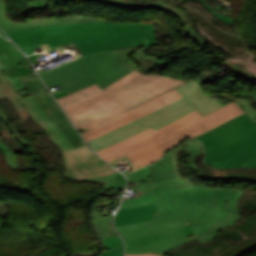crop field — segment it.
Here are the masks:
<instances>
[{"label":"crop field","mask_w":256,"mask_h":256,"mask_svg":"<svg viewBox=\"0 0 256 256\" xmlns=\"http://www.w3.org/2000/svg\"><path fill=\"white\" fill-rule=\"evenodd\" d=\"M35 57H36V55H32V56L28 57L29 60H30L33 64L38 63Z\"/></svg>","instance_id":"34"},{"label":"crop field","mask_w":256,"mask_h":256,"mask_svg":"<svg viewBox=\"0 0 256 256\" xmlns=\"http://www.w3.org/2000/svg\"><path fill=\"white\" fill-rule=\"evenodd\" d=\"M167 1H174V2H184L187 0H153L148 3V6L145 7H152V8H157V9H162L165 11H168L170 13L175 14L184 24L185 31L187 35L192 39V41L197 42L198 44L201 45V47H205V43H207L202 37H200L195 30L193 29L192 26H194V23L191 19L190 16L186 15L179 9L175 8L171 4H169ZM201 4H203L213 15L216 16L219 20L222 22L229 24V25H234V22L232 18L224 16L220 14L219 12L215 11L214 9L211 8V6L206 3L204 0H198Z\"/></svg>","instance_id":"15"},{"label":"crop field","mask_w":256,"mask_h":256,"mask_svg":"<svg viewBox=\"0 0 256 256\" xmlns=\"http://www.w3.org/2000/svg\"><path fill=\"white\" fill-rule=\"evenodd\" d=\"M102 245L103 247L111 248V250L103 252L101 256H122L123 242L118 235L102 240Z\"/></svg>","instance_id":"22"},{"label":"crop field","mask_w":256,"mask_h":256,"mask_svg":"<svg viewBox=\"0 0 256 256\" xmlns=\"http://www.w3.org/2000/svg\"><path fill=\"white\" fill-rule=\"evenodd\" d=\"M153 133H155L154 130L149 128V129H147V130H145L143 132H140V133H138V134H136V135H134L132 137H129V138L123 140V141H120V142H118V143H116V144H114V145H112L110 147H107V148H105V149H103V150H101V151H99L97 153L103 157V156H105V155H107V154H109L111 152H114L116 150H119V149H122L124 147H127V146H129V145H131V144H133V143H135V142H137V141H139V140H141V139H143V138L153 134Z\"/></svg>","instance_id":"20"},{"label":"crop field","mask_w":256,"mask_h":256,"mask_svg":"<svg viewBox=\"0 0 256 256\" xmlns=\"http://www.w3.org/2000/svg\"><path fill=\"white\" fill-rule=\"evenodd\" d=\"M154 202H155L154 195H138V198L123 200V204L121 203L122 204L121 208H127V207L154 203Z\"/></svg>","instance_id":"23"},{"label":"crop field","mask_w":256,"mask_h":256,"mask_svg":"<svg viewBox=\"0 0 256 256\" xmlns=\"http://www.w3.org/2000/svg\"><path fill=\"white\" fill-rule=\"evenodd\" d=\"M244 113L238 105L233 101L222 108L218 109L217 111L202 117L196 122L201 125L206 131L216 127L217 125Z\"/></svg>","instance_id":"18"},{"label":"crop field","mask_w":256,"mask_h":256,"mask_svg":"<svg viewBox=\"0 0 256 256\" xmlns=\"http://www.w3.org/2000/svg\"><path fill=\"white\" fill-rule=\"evenodd\" d=\"M188 47H190L189 45L186 47V48H188ZM143 48H150V47H143ZM143 48H141L140 50H138V51H140V54H138V56L137 57H135V58H133L140 66H143V65H146L148 62H153V64H152V66H149V68L150 67H153L154 65H156L157 63V60L156 59H158V58H161V57H163V56H166V55H168V54H170V53H168V54H166V55H160V56H158V57H155V58H146V57H144V56H140L142 53H143V51H142V49ZM185 49V48H184ZM182 50V49H181ZM179 51V50H178ZM174 52H176V51H174ZM172 53V52H171ZM135 54V53H134ZM131 57H133L132 55H131ZM140 68V67H139ZM139 68H137L136 70H138ZM139 71V70H138ZM140 72V71H139ZM162 72V71H161ZM161 72L159 73V75L161 74ZM140 73H142V74H145V73H143V72H140ZM151 74H155V73H151Z\"/></svg>","instance_id":"26"},{"label":"crop field","mask_w":256,"mask_h":256,"mask_svg":"<svg viewBox=\"0 0 256 256\" xmlns=\"http://www.w3.org/2000/svg\"><path fill=\"white\" fill-rule=\"evenodd\" d=\"M65 178L77 180L71 173H69L67 170L64 171ZM79 181V180H77ZM83 181H101L105 183L104 189L107 188H117V187H123L126 186V180L123 175L120 173L113 174L110 176H106L103 178H96V179H89V180H83Z\"/></svg>","instance_id":"21"},{"label":"crop field","mask_w":256,"mask_h":256,"mask_svg":"<svg viewBox=\"0 0 256 256\" xmlns=\"http://www.w3.org/2000/svg\"><path fill=\"white\" fill-rule=\"evenodd\" d=\"M129 179V183L130 182H143V181H149L150 176H149V165L139 169L135 172H132L128 175H126Z\"/></svg>","instance_id":"25"},{"label":"crop field","mask_w":256,"mask_h":256,"mask_svg":"<svg viewBox=\"0 0 256 256\" xmlns=\"http://www.w3.org/2000/svg\"><path fill=\"white\" fill-rule=\"evenodd\" d=\"M183 83L186 82L142 75L135 70L103 90L95 84L60 98L58 102L77 127L120 105L129 109Z\"/></svg>","instance_id":"2"},{"label":"crop field","mask_w":256,"mask_h":256,"mask_svg":"<svg viewBox=\"0 0 256 256\" xmlns=\"http://www.w3.org/2000/svg\"><path fill=\"white\" fill-rule=\"evenodd\" d=\"M164 105H166V103L162 101L159 97H157L140 106H137L131 110H128L97 127L87 130L82 135L86 139V141L95 139L117 127H120L124 124L134 121Z\"/></svg>","instance_id":"14"},{"label":"crop field","mask_w":256,"mask_h":256,"mask_svg":"<svg viewBox=\"0 0 256 256\" xmlns=\"http://www.w3.org/2000/svg\"><path fill=\"white\" fill-rule=\"evenodd\" d=\"M157 211L156 203L118 210L115 225H125L153 220V213Z\"/></svg>","instance_id":"17"},{"label":"crop field","mask_w":256,"mask_h":256,"mask_svg":"<svg viewBox=\"0 0 256 256\" xmlns=\"http://www.w3.org/2000/svg\"><path fill=\"white\" fill-rule=\"evenodd\" d=\"M8 98L14 108H26L35 123L39 125L60 148H73L63 132L47 117L32 94L20 83L18 78L0 83V99Z\"/></svg>","instance_id":"9"},{"label":"crop field","mask_w":256,"mask_h":256,"mask_svg":"<svg viewBox=\"0 0 256 256\" xmlns=\"http://www.w3.org/2000/svg\"><path fill=\"white\" fill-rule=\"evenodd\" d=\"M0 152L4 155L5 159L7 160V164L10 168L16 170L18 165L16 155L10 151L3 142L0 143Z\"/></svg>","instance_id":"27"},{"label":"crop field","mask_w":256,"mask_h":256,"mask_svg":"<svg viewBox=\"0 0 256 256\" xmlns=\"http://www.w3.org/2000/svg\"><path fill=\"white\" fill-rule=\"evenodd\" d=\"M159 97L161 99H163L167 104L182 98V96L175 89H173Z\"/></svg>","instance_id":"32"},{"label":"crop field","mask_w":256,"mask_h":256,"mask_svg":"<svg viewBox=\"0 0 256 256\" xmlns=\"http://www.w3.org/2000/svg\"><path fill=\"white\" fill-rule=\"evenodd\" d=\"M143 30L144 23L95 22L19 29L6 34L19 46L42 39L88 34L143 36Z\"/></svg>","instance_id":"7"},{"label":"crop field","mask_w":256,"mask_h":256,"mask_svg":"<svg viewBox=\"0 0 256 256\" xmlns=\"http://www.w3.org/2000/svg\"><path fill=\"white\" fill-rule=\"evenodd\" d=\"M125 110H127V109L121 106V107H119V108H117V109H115V110H113V111H111V112H109V113L99 117V118H96V119H94V120H92L90 122H87V123L79 126V128H91L93 126H96V125H98V124H100V123H102V122H104V121H106V120L116 116L117 114H119V113H121V112H123Z\"/></svg>","instance_id":"24"},{"label":"crop field","mask_w":256,"mask_h":256,"mask_svg":"<svg viewBox=\"0 0 256 256\" xmlns=\"http://www.w3.org/2000/svg\"><path fill=\"white\" fill-rule=\"evenodd\" d=\"M194 235L188 225L177 228L163 236L149 235L124 240L126 254L149 253L159 251L181 239Z\"/></svg>","instance_id":"12"},{"label":"crop field","mask_w":256,"mask_h":256,"mask_svg":"<svg viewBox=\"0 0 256 256\" xmlns=\"http://www.w3.org/2000/svg\"><path fill=\"white\" fill-rule=\"evenodd\" d=\"M176 90L184 98L88 142L90 147L97 152L149 127L157 130L195 109L204 116L224 105L217 99L205 94L200 81L197 80L190 81L176 88Z\"/></svg>","instance_id":"4"},{"label":"crop field","mask_w":256,"mask_h":256,"mask_svg":"<svg viewBox=\"0 0 256 256\" xmlns=\"http://www.w3.org/2000/svg\"><path fill=\"white\" fill-rule=\"evenodd\" d=\"M0 142H1V140H0Z\"/></svg>","instance_id":"37"},{"label":"crop field","mask_w":256,"mask_h":256,"mask_svg":"<svg viewBox=\"0 0 256 256\" xmlns=\"http://www.w3.org/2000/svg\"><path fill=\"white\" fill-rule=\"evenodd\" d=\"M19 80L30 91L48 117L64 132L74 147L85 145L84 141L70 123L64 112L46 91L37 74L20 77Z\"/></svg>","instance_id":"10"},{"label":"crop field","mask_w":256,"mask_h":256,"mask_svg":"<svg viewBox=\"0 0 256 256\" xmlns=\"http://www.w3.org/2000/svg\"><path fill=\"white\" fill-rule=\"evenodd\" d=\"M125 256H167V255L151 253V254L125 255Z\"/></svg>","instance_id":"33"},{"label":"crop field","mask_w":256,"mask_h":256,"mask_svg":"<svg viewBox=\"0 0 256 256\" xmlns=\"http://www.w3.org/2000/svg\"><path fill=\"white\" fill-rule=\"evenodd\" d=\"M200 117L202 115L195 110L178 121L156 131V134L130 147L114 152L104 157V159L110 162L127 154L138 168L145 166L164 156L166 152L183 139L205 132L194 121Z\"/></svg>","instance_id":"6"},{"label":"crop field","mask_w":256,"mask_h":256,"mask_svg":"<svg viewBox=\"0 0 256 256\" xmlns=\"http://www.w3.org/2000/svg\"><path fill=\"white\" fill-rule=\"evenodd\" d=\"M194 138L204 143L212 164L256 159V123L246 114Z\"/></svg>","instance_id":"5"},{"label":"crop field","mask_w":256,"mask_h":256,"mask_svg":"<svg viewBox=\"0 0 256 256\" xmlns=\"http://www.w3.org/2000/svg\"><path fill=\"white\" fill-rule=\"evenodd\" d=\"M62 154L66 168L79 180L117 173L87 146L65 150Z\"/></svg>","instance_id":"11"},{"label":"crop field","mask_w":256,"mask_h":256,"mask_svg":"<svg viewBox=\"0 0 256 256\" xmlns=\"http://www.w3.org/2000/svg\"><path fill=\"white\" fill-rule=\"evenodd\" d=\"M0 35H2L3 37H5V38H7L4 34H2L1 32H0ZM8 39V38H7Z\"/></svg>","instance_id":"36"},{"label":"crop field","mask_w":256,"mask_h":256,"mask_svg":"<svg viewBox=\"0 0 256 256\" xmlns=\"http://www.w3.org/2000/svg\"><path fill=\"white\" fill-rule=\"evenodd\" d=\"M47 42L52 49L63 44L74 42L81 51L86 54L116 50L130 46H152L157 44L153 23H145L144 37L116 36V35H88L77 37H64L38 41L20 46L22 51H27L26 55L33 54V48ZM82 53V54H83Z\"/></svg>","instance_id":"8"},{"label":"crop field","mask_w":256,"mask_h":256,"mask_svg":"<svg viewBox=\"0 0 256 256\" xmlns=\"http://www.w3.org/2000/svg\"><path fill=\"white\" fill-rule=\"evenodd\" d=\"M94 21H104L99 18H92L89 16H72L69 18L63 19H35L28 20L23 23H13L6 17V1L0 0V28L6 32L10 30H15L19 28H27V27H36V26H44V25H54V24H65V23H77V22H94Z\"/></svg>","instance_id":"16"},{"label":"crop field","mask_w":256,"mask_h":256,"mask_svg":"<svg viewBox=\"0 0 256 256\" xmlns=\"http://www.w3.org/2000/svg\"><path fill=\"white\" fill-rule=\"evenodd\" d=\"M206 163L209 164L210 166L215 167V168H230V167H252V168H256V160L244 161V162H235V163H228V164H219V165H211L208 162H206Z\"/></svg>","instance_id":"30"},{"label":"crop field","mask_w":256,"mask_h":256,"mask_svg":"<svg viewBox=\"0 0 256 256\" xmlns=\"http://www.w3.org/2000/svg\"><path fill=\"white\" fill-rule=\"evenodd\" d=\"M221 1L224 2V3H226V4H229V5L231 6V3L226 2V1H224V0H221Z\"/></svg>","instance_id":"35"},{"label":"crop field","mask_w":256,"mask_h":256,"mask_svg":"<svg viewBox=\"0 0 256 256\" xmlns=\"http://www.w3.org/2000/svg\"><path fill=\"white\" fill-rule=\"evenodd\" d=\"M128 188L137 189V194H154L152 182L131 183Z\"/></svg>","instance_id":"28"},{"label":"crop field","mask_w":256,"mask_h":256,"mask_svg":"<svg viewBox=\"0 0 256 256\" xmlns=\"http://www.w3.org/2000/svg\"><path fill=\"white\" fill-rule=\"evenodd\" d=\"M140 48L130 47L82 56L39 76L48 88L60 85L63 92L55 94L56 99L95 83L103 89L136 69L129 58Z\"/></svg>","instance_id":"3"},{"label":"crop field","mask_w":256,"mask_h":256,"mask_svg":"<svg viewBox=\"0 0 256 256\" xmlns=\"http://www.w3.org/2000/svg\"><path fill=\"white\" fill-rule=\"evenodd\" d=\"M0 119H2L4 124H7L9 130L13 133V135L18 139V141L20 142V144H22L23 146L29 145V141H27L26 139H24L20 134L17 133L16 129H14V127L10 126V121L8 120V118L6 116H4L1 113L0 110Z\"/></svg>","instance_id":"31"},{"label":"crop field","mask_w":256,"mask_h":256,"mask_svg":"<svg viewBox=\"0 0 256 256\" xmlns=\"http://www.w3.org/2000/svg\"><path fill=\"white\" fill-rule=\"evenodd\" d=\"M55 1H64V0H37L28 3L26 6L25 10L23 13L32 11V10H43L44 8L47 7L49 3H53ZM86 1H93V2H100V3H105L109 4L118 8L122 9H128V10H139L143 9L144 6L140 5L138 3L130 2V1H125V0H86Z\"/></svg>","instance_id":"19"},{"label":"crop field","mask_w":256,"mask_h":256,"mask_svg":"<svg viewBox=\"0 0 256 256\" xmlns=\"http://www.w3.org/2000/svg\"><path fill=\"white\" fill-rule=\"evenodd\" d=\"M154 191L158 207L154 221L116 227L123 239L162 235L187 223L196 234L156 253L167 254L195 239L201 243L211 241L221 229L235 225L241 216L236 203L244 192L237 189L195 185Z\"/></svg>","instance_id":"1"},{"label":"crop field","mask_w":256,"mask_h":256,"mask_svg":"<svg viewBox=\"0 0 256 256\" xmlns=\"http://www.w3.org/2000/svg\"><path fill=\"white\" fill-rule=\"evenodd\" d=\"M34 69L10 42L0 37V82L30 74Z\"/></svg>","instance_id":"13"},{"label":"crop field","mask_w":256,"mask_h":256,"mask_svg":"<svg viewBox=\"0 0 256 256\" xmlns=\"http://www.w3.org/2000/svg\"><path fill=\"white\" fill-rule=\"evenodd\" d=\"M235 102L239 105V107L245 111V113L256 122V110L244 99H236Z\"/></svg>","instance_id":"29"}]
</instances>
